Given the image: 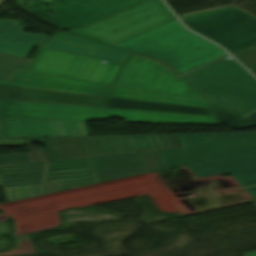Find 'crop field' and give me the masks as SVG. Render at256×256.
<instances>
[{
    "mask_svg": "<svg viewBox=\"0 0 256 256\" xmlns=\"http://www.w3.org/2000/svg\"><path fill=\"white\" fill-rule=\"evenodd\" d=\"M25 140L0 139V146L27 144L30 151L0 155V185L8 202L96 183L88 158L54 161L32 147L43 138Z\"/></svg>",
    "mask_w": 256,
    "mask_h": 256,
    "instance_id": "1",
    "label": "crop field"
},
{
    "mask_svg": "<svg viewBox=\"0 0 256 256\" xmlns=\"http://www.w3.org/2000/svg\"><path fill=\"white\" fill-rule=\"evenodd\" d=\"M112 46L159 60L181 74L226 54L185 30L177 19Z\"/></svg>",
    "mask_w": 256,
    "mask_h": 256,
    "instance_id": "2",
    "label": "crop field"
},
{
    "mask_svg": "<svg viewBox=\"0 0 256 256\" xmlns=\"http://www.w3.org/2000/svg\"><path fill=\"white\" fill-rule=\"evenodd\" d=\"M110 117H123L125 122L219 124L214 117L206 116L9 100H3L0 109V118L91 121Z\"/></svg>",
    "mask_w": 256,
    "mask_h": 256,
    "instance_id": "3",
    "label": "crop field"
},
{
    "mask_svg": "<svg viewBox=\"0 0 256 256\" xmlns=\"http://www.w3.org/2000/svg\"><path fill=\"white\" fill-rule=\"evenodd\" d=\"M211 103L244 117L256 109V80L226 57L184 76Z\"/></svg>",
    "mask_w": 256,
    "mask_h": 256,
    "instance_id": "4",
    "label": "crop field"
},
{
    "mask_svg": "<svg viewBox=\"0 0 256 256\" xmlns=\"http://www.w3.org/2000/svg\"><path fill=\"white\" fill-rule=\"evenodd\" d=\"M54 160L179 147L172 134L46 138Z\"/></svg>",
    "mask_w": 256,
    "mask_h": 256,
    "instance_id": "5",
    "label": "crop field"
},
{
    "mask_svg": "<svg viewBox=\"0 0 256 256\" xmlns=\"http://www.w3.org/2000/svg\"><path fill=\"white\" fill-rule=\"evenodd\" d=\"M186 26L231 53L256 43V18L233 7L182 16Z\"/></svg>",
    "mask_w": 256,
    "mask_h": 256,
    "instance_id": "6",
    "label": "crop field"
},
{
    "mask_svg": "<svg viewBox=\"0 0 256 256\" xmlns=\"http://www.w3.org/2000/svg\"><path fill=\"white\" fill-rule=\"evenodd\" d=\"M173 19L162 0H147L71 33L111 44Z\"/></svg>",
    "mask_w": 256,
    "mask_h": 256,
    "instance_id": "7",
    "label": "crop field"
},
{
    "mask_svg": "<svg viewBox=\"0 0 256 256\" xmlns=\"http://www.w3.org/2000/svg\"><path fill=\"white\" fill-rule=\"evenodd\" d=\"M181 149L157 152L164 168L256 149V132L176 135Z\"/></svg>",
    "mask_w": 256,
    "mask_h": 256,
    "instance_id": "8",
    "label": "crop field"
},
{
    "mask_svg": "<svg viewBox=\"0 0 256 256\" xmlns=\"http://www.w3.org/2000/svg\"><path fill=\"white\" fill-rule=\"evenodd\" d=\"M41 1L54 7L44 10ZM143 1L145 0H27L25 9L63 30L72 31ZM47 11L54 14L49 15Z\"/></svg>",
    "mask_w": 256,
    "mask_h": 256,
    "instance_id": "9",
    "label": "crop field"
},
{
    "mask_svg": "<svg viewBox=\"0 0 256 256\" xmlns=\"http://www.w3.org/2000/svg\"><path fill=\"white\" fill-rule=\"evenodd\" d=\"M101 62L43 48L28 71L111 85L121 65Z\"/></svg>",
    "mask_w": 256,
    "mask_h": 256,
    "instance_id": "10",
    "label": "crop field"
},
{
    "mask_svg": "<svg viewBox=\"0 0 256 256\" xmlns=\"http://www.w3.org/2000/svg\"><path fill=\"white\" fill-rule=\"evenodd\" d=\"M113 85L204 99L181 77L157 62L132 56Z\"/></svg>",
    "mask_w": 256,
    "mask_h": 256,
    "instance_id": "11",
    "label": "crop field"
},
{
    "mask_svg": "<svg viewBox=\"0 0 256 256\" xmlns=\"http://www.w3.org/2000/svg\"><path fill=\"white\" fill-rule=\"evenodd\" d=\"M89 159L97 183L162 169L154 151Z\"/></svg>",
    "mask_w": 256,
    "mask_h": 256,
    "instance_id": "12",
    "label": "crop field"
},
{
    "mask_svg": "<svg viewBox=\"0 0 256 256\" xmlns=\"http://www.w3.org/2000/svg\"><path fill=\"white\" fill-rule=\"evenodd\" d=\"M4 120L9 138L90 136L86 122L29 119Z\"/></svg>",
    "mask_w": 256,
    "mask_h": 256,
    "instance_id": "13",
    "label": "crop field"
},
{
    "mask_svg": "<svg viewBox=\"0 0 256 256\" xmlns=\"http://www.w3.org/2000/svg\"><path fill=\"white\" fill-rule=\"evenodd\" d=\"M103 107L107 108H121V109H137V110H150V111H162V112H175V113H187L197 115L213 116L210 109L179 106L171 104L151 103L142 101L122 100L107 98ZM215 112L219 122L226 124L235 129L247 128L255 123L237 117L233 114L225 112L215 107H211Z\"/></svg>",
    "mask_w": 256,
    "mask_h": 256,
    "instance_id": "14",
    "label": "crop field"
},
{
    "mask_svg": "<svg viewBox=\"0 0 256 256\" xmlns=\"http://www.w3.org/2000/svg\"><path fill=\"white\" fill-rule=\"evenodd\" d=\"M10 85L58 90L66 92L93 94L106 96L110 86L36 74V73H23L17 72Z\"/></svg>",
    "mask_w": 256,
    "mask_h": 256,
    "instance_id": "15",
    "label": "crop field"
},
{
    "mask_svg": "<svg viewBox=\"0 0 256 256\" xmlns=\"http://www.w3.org/2000/svg\"><path fill=\"white\" fill-rule=\"evenodd\" d=\"M186 166L193 173L223 166L243 187L256 184V150Z\"/></svg>",
    "mask_w": 256,
    "mask_h": 256,
    "instance_id": "16",
    "label": "crop field"
},
{
    "mask_svg": "<svg viewBox=\"0 0 256 256\" xmlns=\"http://www.w3.org/2000/svg\"><path fill=\"white\" fill-rule=\"evenodd\" d=\"M106 97L7 86L2 99L101 107Z\"/></svg>",
    "mask_w": 256,
    "mask_h": 256,
    "instance_id": "17",
    "label": "crop field"
},
{
    "mask_svg": "<svg viewBox=\"0 0 256 256\" xmlns=\"http://www.w3.org/2000/svg\"><path fill=\"white\" fill-rule=\"evenodd\" d=\"M109 96L188 105V106H197V107H205V108H209L211 106L206 100H202V99L182 97V96L169 95V94L156 93V92L143 91V90H136V89H130V88L117 87V86L113 87Z\"/></svg>",
    "mask_w": 256,
    "mask_h": 256,
    "instance_id": "18",
    "label": "crop field"
},
{
    "mask_svg": "<svg viewBox=\"0 0 256 256\" xmlns=\"http://www.w3.org/2000/svg\"><path fill=\"white\" fill-rule=\"evenodd\" d=\"M0 38L14 42L42 46L49 37L40 34L33 35L22 31L21 24L7 19H0Z\"/></svg>",
    "mask_w": 256,
    "mask_h": 256,
    "instance_id": "19",
    "label": "crop field"
},
{
    "mask_svg": "<svg viewBox=\"0 0 256 256\" xmlns=\"http://www.w3.org/2000/svg\"><path fill=\"white\" fill-rule=\"evenodd\" d=\"M17 57L19 56L0 53V67L12 69L8 70L0 68V83L7 84L9 79L12 77L16 70L26 71L27 67L31 62V59L20 57V61L17 59ZM1 59L10 60L13 62L4 61Z\"/></svg>",
    "mask_w": 256,
    "mask_h": 256,
    "instance_id": "20",
    "label": "crop field"
},
{
    "mask_svg": "<svg viewBox=\"0 0 256 256\" xmlns=\"http://www.w3.org/2000/svg\"><path fill=\"white\" fill-rule=\"evenodd\" d=\"M53 38L65 41L67 43L73 44L75 46L79 47H85V48H93V49H100V50H108V51H115V52H123V53H128L124 52L115 48H111L102 44H98L71 34H57L53 36ZM131 54V53H128Z\"/></svg>",
    "mask_w": 256,
    "mask_h": 256,
    "instance_id": "21",
    "label": "crop field"
},
{
    "mask_svg": "<svg viewBox=\"0 0 256 256\" xmlns=\"http://www.w3.org/2000/svg\"><path fill=\"white\" fill-rule=\"evenodd\" d=\"M33 46L0 39V52L27 57Z\"/></svg>",
    "mask_w": 256,
    "mask_h": 256,
    "instance_id": "22",
    "label": "crop field"
},
{
    "mask_svg": "<svg viewBox=\"0 0 256 256\" xmlns=\"http://www.w3.org/2000/svg\"><path fill=\"white\" fill-rule=\"evenodd\" d=\"M247 68L256 66V44L233 54Z\"/></svg>",
    "mask_w": 256,
    "mask_h": 256,
    "instance_id": "23",
    "label": "crop field"
},
{
    "mask_svg": "<svg viewBox=\"0 0 256 256\" xmlns=\"http://www.w3.org/2000/svg\"><path fill=\"white\" fill-rule=\"evenodd\" d=\"M44 47L51 48V49H56V50H61V51H65V52H70V53H75V54H78L79 51L81 50V48L70 46V45H67L65 43L53 40V39L49 40L45 44Z\"/></svg>",
    "mask_w": 256,
    "mask_h": 256,
    "instance_id": "24",
    "label": "crop field"
},
{
    "mask_svg": "<svg viewBox=\"0 0 256 256\" xmlns=\"http://www.w3.org/2000/svg\"><path fill=\"white\" fill-rule=\"evenodd\" d=\"M128 56L129 55H124L120 53L101 51L95 58L122 64Z\"/></svg>",
    "mask_w": 256,
    "mask_h": 256,
    "instance_id": "25",
    "label": "crop field"
},
{
    "mask_svg": "<svg viewBox=\"0 0 256 256\" xmlns=\"http://www.w3.org/2000/svg\"><path fill=\"white\" fill-rule=\"evenodd\" d=\"M225 171L226 170L223 167H221V168H217V169H212V170H208V171H203V172L195 173V175L198 178H201V177L225 174L226 173Z\"/></svg>",
    "mask_w": 256,
    "mask_h": 256,
    "instance_id": "26",
    "label": "crop field"
},
{
    "mask_svg": "<svg viewBox=\"0 0 256 256\" xmlns=\"http://www.w3.org/2000/svg\"><path fill=\"white\" fill-rule=\"evenodd\" d=\"M100 51L97 50H87V49H82L81 52L79 53L80 55L88 56L94 58Z\"/></svg>",
    "mask_w": 256,
    "mask_h": 256,
    "instance_id": "27",
    "label": "crop field"
},
{
    "mask_svg": "<svg viewBox=\"0 0 256 256\" xmlns=\"http://www.w3.org/2000/svg\"><path fill=\"white\" fill-rule=\"evenodd\" d=\"M246 190L256 200V186L246 188Z\"/></svg>",
    "mask_w": 256,
    "mask_h": 256,
    "instance_id": "28",
    "label": "crop field"
},
{
    "mask_svg": "<svg viewBox=\"0 0 256 256\" xmlns=\"http://www.w3.org/2000/svg\"><path fill=\"white\" fill-rule=\"evenodd\" d=\"M0 138H6L1 120H0Z\"/></svg>",
    "mask_w": 256,
    "mask_h": 256,
    "instance_id": "29",
    "label": "crop field"
},
{
    "mask_svg": "<svg viewBox=\"0 0 256 256\" xmlns=\"http://www.w3.org/2000/svg\"><path fill=\"white\" fill-rule=\"evenodd\" d=\"M247 119L252 120L254 122H256V113H254L253 115H251L250 117H248Z\"/></svg>",
    "mask_w": 256,
    "mask_h": 256,
    "instance_id": "30",
    "label": "crop field"
},
{
    "mask_svg": "<svg viewBox=\"0 0 256 256\" xmlns=\"http://www.w3.org/2000/svg\"><path fill=\"white\" fill-rule=\"evenodd\" d=\"M244 256H256V251L255 252H251V253H247Z\"/></svg>",
    "mask_w": 256,
    "mask_h": 256,
    "instance_id": "31",
    "label": "crop field"
},
{
    "mask_svg": "<svg viewBox=\"0 0 256 256\" xmlns=\"http://www.w3.org/2000/svg\"><path fill=\"white\" fill-rule=\"evenodd\" d=\"M5 87H6V86H1V85H0V97H1V95H2V93H3V91H4V89H5Z\"/></svg>",
    "mask_w": 256,
    "mask_h": 256,
    "instance_id": "32",
    "label": "crop field"
},
{
    "mask_svg": "<svg viewBox=\"0 0 256 256\" xmlns=\"http://www.w3.org/2000/svg\"><path fill=\"white\" fill-rule=\"evenodd\" d=\"M251 72H253L256 75V67L249 69Z\"/></svg>",
    "mask_w": 256,
    "mask_h": 256,
    "instance_id": "33",
    "label": "crop field"
},
{
    "mask_svg": "<svg viewBox=\"0 0 256 256\" xmlns=\"http://www.w3.org/2000/svg\"><path fill=\"white\" fill-rule=\"evenodd\" d=\"M0 1H4V0H0Z\"/></svg>",
    "mask_w": 256,
    "mask_h": 256,
    "instance_id": "34",
    "label": "crop field"
},
{
    "mask_svg": "<svg viewBox=\"0 0 256 256\" xmlns=\"http://www.w3.org/2000/svg\"><path fill=\"white\" fill-rule=\"evenodd\" d=\"M255 203V205H256V202H254Z\"/></svg>",
    "mask_w": 256,
    "mask_h": 256,
    "instance_id": "35",
    "label": "crop field"
},
{
    "mask_svg": "<svg viewBox=\"0 0 256 256\" xmlns=\"http://www.w3.org/2000/svg\"><path fill=\"white\" fill-rule=\"evenodd\" d=\"M1 4V3H0Z\"/></svg>",
    "mask_w": 256,
    "mask_h": 256,
    "instance_id": "36",
    "label": "crop field"
}]
</instances>
